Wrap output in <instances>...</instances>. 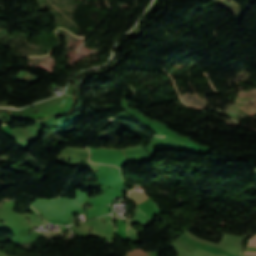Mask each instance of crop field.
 <instances>
[{"instance_id": "2", "label": "crop field", "mask_w": 256, "mask_h": 256, "mask_svg": "<svg viewBox=\"0 0 256 256\" xmlns=\"http://www.w3.org/2000/svg\"><path fill=\"white\" fill-rule=\"evenodd\" d=\"M0 19H2V16L0 15Z\"/></svg>"}, {"instance_id": "3", "label": "crop field", "mask_w": 256, "mask_h": 256, "mask_svg": "<svg viewBox=\"0 0 256 256\" xmlns=\"http://www.w3.org/2000/svg\"><path fill=\"white\" fill-rule=\"evenodd\" d=\"M107 206H111V204H108Z\"/></svg>"}, {"instance_id": "1", "label": "crop field", "mask_w": 256, "mask_h": 256, "mask_svg": "<svg viewBox=\"0 0 256 256\" xmlns=\"http://www.w3.org/2000/svg\"><path fill=\"white\" fill-rule=\"evenodd\" d=\"M24 73H26V72H24V71L19 72V73L15 76V78L18 77V76H20V75H22V74H24ZM38 79H39V78L36 77V78L30 80L29 82H36V81H38Z\"/></svg>"}]
</instances>
